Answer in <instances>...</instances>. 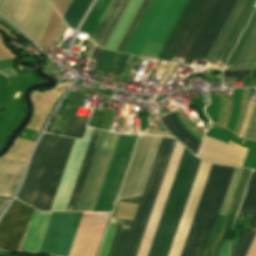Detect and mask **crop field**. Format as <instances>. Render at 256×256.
Returning a JSON list of instances; mask_svg holds the SVG:
<instances>
[{
  "label": "crop field",
  "instance_id": "1",
  "mask_svg": "<svg viewBox=\"0 0 256 256\" xmlns=\"http://www.w3.org/2000/svg\"><path fill=\"white\" fill-rule=\"evenodd\" d=\"M173 139L162 138L134 221L112 218L99 256H135L165 173Z\"/></svg>",
  "mask_w": 256,
  "mask_h": 256
},
{
  "label": "crop field",
  "instance_id": "2",
  "mask_svg": "<svg viewBox=\"0 0 256 256\" xmlns=\"http://www.w3.org/2000/svg\"><path fill=\"white\" fill-rule=\"evenodd\" d=\"M73 140L45 134L17 196L20 201L40 210L50 209Z\"/></svg>",
  "mask_w": 256,
  "mask_h": 256
},
{
  "label": "crop field",
  "instance_id": "3",
  "mask_svg": "<svg viewBox=\"0 0 256 256\" xmlns=\"http://www.w3.org/2000/svg\"><path fill=\"white\" fill-rule=\"evenodd\" d=\"M236 1L217 0L185 63L191 64L194 58L205 60ZM255 3L256 0L237 1L206 61L215 64L217 60H220L223 63Z\"/></svg>",
  "mask_w": 256,
  "mask_h": 256
},
{
  "label": "crop field",
  "instance_id": "4",
  "mask_svg": "<svg viewBox=\"0 0 256 256\" xmlns=\"http://www.w3.org/2000/svg\"><path fill=\"white\" fill-rule=\"evenodd\" d=\"M200 160L184 149L148 256H167Z\"/></svg>",
  "mask_w": 256,
  "mask_h": 256
},
{
  "label": "crop field",
  "instance_id": "5",
  "mask_svg": "<svg viewBox=\"0 0 256 256\" xmlns=\"http://www.w3.org/2000/svg\"><path fill=\"white\" fill-rule=\"evenodd\" d=\"M234 169L211 165L181 256H184L196 222L197 225L186 256H197L199 244L207 230L199 252V256L203 255L204 245L217 221Z\"/></svg>",
  "mask_w": 256,
  "mask_h": 256
},
{
  "label": "crop field",
  "instance_id": "6",
  "mask_svg": "<svg viewBox=\"0 0 256 256\" xmlns=\"http://www.w3.org/2000/svg\"><path fill=\"white\" fill-rule=\"evenodd\" d=\"M52 10L49 0H2L0 3V13L20 27L36 44Z\"/></svg>",
  "mask_w": 256,
  "mask_h": 256
},
{
  "label": "crop field",
  "instance_id": "7",
  "mask_svg": "<svg viewBox=\"0 0 256 256\" xmlns=\"http://www.w3.org/2000/svg\"><path fill=\"white\" fill-rule=\"evenodd\" d=\"M161 138L140 135L136 151L125 179L119 199L142 195L150 168L152 166ZM139 198L121 200L120 202L138 204Z\"/></svg>",
  "mask_w": 256,
  "mask_h": 256
},
{
  "label": "crop field",
  "instance_id": "8",
  "mask_svg": "<svg viewBox=\"0 0 256 256\" xmlns=\"http://www.w3.org/2000/svg\"><path fill=\"white\" fill-rule=\"evenodd\" d=\"M113 135L114 134L110 133V132H104V131L102 132L99 144L97 146L90 170L88 172V175H87V178H86V181H85V184H84V187H83V190H82V193L79 198V201H78L75 211H87L88 210V207H89L91 198L93 196V193H94L100 172L102 170L109 146L111 144ZM118 135L119 134L114 135L111 147L109 149L102 173L100 175V178H99V181H98V184H97V187H96V190H95V193H94V196H93V199L91 201L88 211L94 210V207H95V204H96V201H97V198H98V195H99V192H100V189H101V186H102V183H103V180H104V177H105V174H106V171H107V168H108V165H109V162H110V159H111V156H112V153H113L116 141H117V138H118Z\"/></svg>",
  "mask_w": 256,
  "mask_h": 256
},
{
  "label": "crop field",
  "instance_id": "9",
  "mask_svg": "<svg viewBox=\"0 0 256 256\" xmlns=\"http://www.w3.org/2000/svg\"><path fill=\"white\" fill-rule=\"evenodd\" d=\"M136 136L119 135L94 211H111Z\"/></svg>",
  "mask_w": 256,
  "mask_h": 256
},
{
  "label": "crop field",
  "instance_id": "10",
  "mask_svg": "<svg viewBox=\"0 0 256 256\" xmlns=\"http://www.w3.org/2000/svg\"><path fill=\"white\" fill-rule=\"evenodd\" d=\"M75 214L52 213L39 253L68 256L77 229H71Z\"/></svg>",
  "mask_w": 256,
  "mask_h": 256
},
{
  "label": "crop field",
  "instance_id": "11",
  "mask_svg": "<svg viewBox=\"0 0 256 256\" xmlns=\"http://www.w3.org/2000/svg\"><path fill=\"white\" fill-rule=\"evenodd\" d=\"M34 209L14 201L0 224V249L17 251Z\"/></svg>",
  "mask_w": 256,
  "mask_h": 256
},
{
  "label": "crop field",
  "instance_id": "12",
  "mask_svg": "<svg viewBox=\"0 0 256 256\" xmlns=\"http://www.w3.org/2000/svg\"><path fill=\"white\" fill-rule=\"evenodd\" d=\"M256 64V10L230 56L225 68L253 67ZM256 66V65H255Z\"/></svg>",
  "mask_w": 256,
  "mask_h": 256
},
{
  "label": "crop field",
  "instance_id": "13",
  "mask_svg": "<svg viewBox=\"0 0 256 256\" xmlns=\"http://www.w3.org/2000/svg\"><path fill=\"white\" fill-rule=\"evenodd\" d=\"M238 214L256 217V172L253 171ZM255 233L243 231L233 256H245Z\"/></svg>",
  "mask_w": 256,
  "mask_h": 256
},
{
  "label": "crop field",
  "instance_id": "14",
  "mask_svg": "<svg viewBox=\"0 0 256 256\" xmlns=\"http://www.w3.org/2000/svg\"><path fill=\"white\" fill-rule=\"evenodd\" d=\"M202 2L203 0L190 1L167 46L165 47L160 59L171 61L175 51L177 50L180 42L182 41Z\"/></svg>",
  "mask_w": 256,
  "mask_h": 256
},
{
  "label": "crop field",
  "instance_id": "15",
  "mask_svg": "<svg viewBox=\"0 0 256 256\" xmlns=\"http://www.w3.org/2000/svg\"><path fill=\"white\" fill-rule=\"evenodd\" d=\"M52 212L34 211L20 251L38 252Z\"/></svg>",
  "mask_w": 256,
  "mask_h": 256
},
{
  "label": "crop field",
  "instance_id": "16",
  "mask_svg": "<svg viewBox=\"0 0 256 256\" xmlns=\"http://www.w3.org/2000/svg\"><path fill=\"white\" fill-rule=\"evenodd\" d=\"M23 163L0 160V196L11 198L24 169Z\"/></svg>",
  "mask_w": 256,
  "mask_h": 256
},
{
  "label": "crop field",
  "instance_id": "17",
  "mask_svg": "<svg viewBox=\"0 0 256 256\" xmlns=\"http://www.w3.org/2000/svg\"><path fill=\"white\" fill-rule=\"evenodd\" d=\"M215 2L216 0L204 1L192 25L190 26L186 36L184 37L181 45L179 46L175 56L186 58L190 48L192 47L197 35L199 34Z\"/></svg>",
  "mask_w": 256,
  "mask_h": 256
},
{
  "label": "crop field",
  "instance_id": "18",
  "mask_svg": "<svg viewBox=\"0 0 256 256\" xmlns=\"http://www.w3.org/2000/svg\"><path fill=\"white\" fill-rule=\"evenodd\" d=\"M102 131L94 130L66 211H74Z\"/></svg>",
  "mask_w": 256,
  "mask_h": 256
},
{
  "label": "crop field",
  "instance_id": "19",
  "mask_svg": "<svg viewBox=\"0 0 256 256\" xmlns=\"http://www.w3.org/2000/svg\"><path fill=\"white\" fill-rule=\"evenodd\" d=\"M161 118L170 132L188 149L197 154L201 142L183 128L176 117L175 111L169 113H161Z\"/></svg>",
  "mask_w": 256,
  "mask_h": 256
},
{
  "label": "crop field",
  "instance_id": "20",
  "mask_svg": "<svg viewBox=\"0 0 256 256\" xmlns=\"http://www.w3.org/2000/svg\"><path fill=\"white\" fill-rule=\"evenodd\" d=\"M127 1L128 0H112L110 6L108 7L105 15L103 16L101 22L99 23L96 31L94 32V34L91 38L98 46H100V47L103 46V44H100L101 40L103 39V37L106 35V33L109 31L112 24L114 23V21L117 17V14H118L121 3L122 2L127 3ZM124 6H125V4L123 3L121 8H120L118 17L120 15V13L122 12ZM118 17H117V19H118ZM117 19H116V21H117ZM116 21H115V23H116ZM114 24H113V26H114ZM113 26H112V28H113ZM112 28L107 33L105 38L102 40L103 43H105V41H106L109 33L111 32Z\"/></svg>",
  "mask_w": 256,
  "mask_h": 256
},
{
  "label": "crop field",
  "instance_id": "21",
  "mask_svg": "<svg viewBox=\"0 0 256 256\" xmlns=\"http://www.w3.org/2000/svg\"><path fill=\"white\" fill-rule=\"evenodd\" d=\"M92 0H73L67 12L64 15L68 25L75 29L84 14L86 13Z\"/></svg>",
  "mask_w": 256,
  "mask_h": 256
},
{
  "label": "crop field",
  "instance_id": "22",
  "mask_svg": "<svg viewBox=\"0 0 256 256\" xmlns=\"http://www.w3.org/2000/svg\"><path fill=\"white\" fill-rule=\"evenodd\" d=\"M110 2L111 0H98L81 31L87 32L92 36Z\"/></svg>",
  "mask_w": 256,
  "mask_h": 256
},
{
  "label": "crop field",
  "instance_id": "23",
  "mask_svg": "<svg viewBox=\"0 0 256 256\" xmlns=\"http://www.w3.org/2000/svg\"><path fill=\"white\" fill-rule=\"evenodd\" d=\"M76 109L77 108L73 109V113L64 136L82 139L86 129L85 126L89 118L74 116Z\"/></svg>",
  "mask_w": 256,
  "mask_h": 256
},
{
  "label": "crop field",
  "instance_id": "24",
  "mask_svg": "<svg viewBox=\"0 0 256 256\" xmlns=\"http://www.w3.org/2000/svg\"><path fill=\"white\" fill-rule=\"evenodd\" d=\"M115 55H116L115 52L105 50L96 69L102 70V71H108L115 58Z\"/></svg>",
  "mask_w": 256,
  "mask_h": 256
},
{
  "label": "crop field",
  "instance_id": "25",
  "mask_svg": "<svg viewBox=\"0 0 256 256\" xmlns=\"http://www.w3.org/2000/svg\"><path fill=\"white\" fill-rule=\"evenodd\" d=\"M242 169L236 168L223 207L228 208Z\"/></svg>",
  "mask_w": 256,
  "mask_h": 256
},
{
  "label": "crop field",
  "instance_id": "26",
  "mask_svg": "<svg viewBox=\"0 0 256 256\" xmlns=\"http://www.w3.org/2000/svg\"><path fill=\"white\" fill-rule=\"evenodd\" d=\"M148 1H149V0H145L144 3L142 4V6H141V8H140V10H139V12H138V14L136 15V17H135V19H134V21H133V23H132V25H131V27L129 28V30H128L126 36H125V38L123 39V41H122V43H121V45H120L118 51H120V52L123 51V49H124V47H125V45H126L128 39H129L130 35L132 34V32H133V30H134V28H135V26H136V24H137V22H138L140 16L142 15V13H143V11H144V9H145V7H146ZM116 51H117V50H116Z\"/></svg>",
  "mask_w": 256,
  "mask_h": 256
},
{
  "label": "crop field",
  "instance_id": "27",
  "mask_svg": "<svg viewBox=\"0 0 256 256\" xmlns=\"http://www.w3.org/2000/svg\"><path fill=\"white\" fill-rule=\"evenodd\" d=\"M244 139L256 141V106L254 107L250 123Z\"/></svg>",
  "mask_w": 256,
  "mask_h": 256
},
{
  "label": "crop field",
  "instance_id": "28",
  "mask_svg": "<svg viewBox=\"0 0 256 256\" xmlns=\"http://www.w3.org/2000/svg\"><path fill=\"white\" fill-rule=\"evenodd\" d=\"M254 104L255 103H249V105H248V109H247V112H246V115H245V118H244V121H243V125H242V128H241L240 134H239V136L242 137V138L244 137V134H245V131H246V128H247V125H248V122H249Z\"/></svg>",
  "mask_w": 256,
  "mask_h": 256
},
{
  "label": "crop field",
  "instance_id": "29",
  "mask_svg": "<svg viewBox=\"0 0 256 256\" xmlns=\"http://www.w3.org/2000/svg\"><path fill=\"white\" fill-rule=\"evenodd\" d=\"M249 72L250 69L224 70V77L247 76Z\"/></svg>",
  "mask_w": 256,
  "mask_h": 256
},
{
  "label": "crop field",
  "instance_id": "30",
  "mask_svg": "<svg viewBox=\"0 0 256 256\" xmlns=\"http://www.w3.org/2000/svg\"><path fill=\"white\" fill-rule=\"evenodd\" d=\"M224 111H225V98L220 97V113L218 124L223 126L224 123Z\"/></svg>",
  "mask_w": 256,
  "mask_h": 256
},
{
  "label": "crop field",
  "instance_id": "31",
  "mask_svg": "<svg viewBox=\"0 0 256 256\" xmlns=\"http://www.w3.org/2000/svg\"><path fill=\"white\" fill-rule=\"evenodd\" d=\"M128 58H129V55H125V54L123 55V57H122L119 65H118L115 73H117V74H122L123 73L124 68H125V66L127 64L126 61H127Z\"/></svg>",
  "mask_w": 256,
  "mask_h": 256
},
{
  "label": "crop field",
  "instance_id": "32",
  "mask_svg": "<svg viewBox=\"0 0 256 256\" xmlns=\"http://www.w3.org/2000/svg\"><path fill=\"white\" fill-rule=\"evenodd\" d=\"M103 51L104 50L97 48L96 45H95L93 53H92V55L90 57V59L96 60V64L95 65H97V63H98V61H99Z\"/></svg>",
  "mask_w": 256,
  "mask_h": 256
},
{
  "label": "crop field",
  "instance_id": "33",
  "mask_svg": "<svg viewBox=\"0 0 256 256\" xmlns=\"http://www.w3.org/2000/svg\"><path fill=\"white\" fill-rule=\"evenodd\" d=\"M229 243L230 241H225L221 251H220V255L219 256H228V251H229Z\"/></svg>",
  "mask_w": 256,
  "mask_h": 256
},
{
  "label": "crop field",
  "instance_id": "34",
  "mask_svg": "<svg viewBox=\"0 0 256 256\" xmlns=\"http://www.w3.org/2000/svg\"><path fill=\"white\" fill-rule=\"evenodd\" d=\"M144 133L146 134H153V135H161V136H168V133L167 132H162V131H152V130H146Z\"/></svg>",
  "mask_w": 256,
  "mask_h": 256
},
{
  "label": "crop field",
  "instance_id": "35",
  "mask_svg": "<svg viewBox=\"0 0 256 256\" xmlns=\"http://www.w3.org/2000/svg\"><path fill=\"white\" fill-rule=\"evenodd\" d=\"M141 130H145L148 127L147 117L140 118Z\"/></svg>",
  "mask_w": 256,
  "mask_h": 256
},
{
  "label": "crop field",
  "instance_id": "36",
  "mask_svg": "<svg viewBox=\"0 0 256 256\" xmlns=\"http://www.w3.org/2000/svg\"><path fill=\"white\" fill-rule=\"evenodd\" d=\"M6 203H7L6 201L0 199V213L2 212V210H3L4 206L6 205Z\"/></svg>",
  "mask_w": 256,
  "mask_h": 256
},
{
  "label": "crop field",
  "instance_id": "37",
  "mask_svg": "<svg viewBox=\"0 0 256 256\" xmlns=\"http://www.w3.org/2000/svg\"><path fill=\"white\" fill-rule=\"evenodd\" d=\"M148 120H149V125L151 124V120H150V117L148 118Z\"/></svg>",
  "mask_w": 256,
  "mask_h": 256
}]
</instances>
